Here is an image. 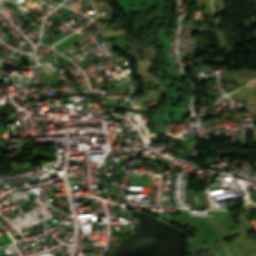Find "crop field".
Here are the masks:
<instances>
[{
  "label": "crop field",
  "mask_w": 256,
  "mask_h": 256,
  "mask_svg": "<svg viewBox=\"0 0 256 256\" xmlns=\"http://www.w3.org/2000/svg\"><path fill=\"white\" fill-rule=\"evenodd\" d=\"M210 4H211V9H212L213 16L219 15L218 12H217V8H216V5L214 3V0H210Z\"/></svg>",
  "instance_id": "2"
},
{
  "label": "crop field",
  "mask_w": 256,
  "mask_h": 256,
  "mask_svg": "<svg viewBox=\"0 0 256 256\" xmlns=\"http://www.w3.org/2000/svg\"><path fill=\"white\" fill-rule=\"evenodd\" d=\"M40 68L43 70V71H45L47 74H52L53 73V69L52 68H50L48 65H43V66H40Z\"/></svg>",
  "instance_id": "1"
}]
</instances>
